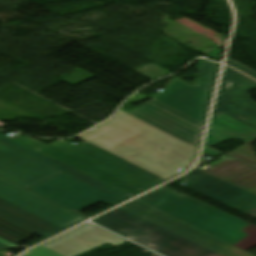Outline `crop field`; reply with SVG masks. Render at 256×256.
Wrapping results in <instances>:
<instances>
[{"label":"crop field","instance_id":"crop-field-24","mask_svg":"<svg viewBox=\"0 0 256 256\" xmlns=\"http://www.w3.org/2000/svg\"><path fill=\"white\" fill-rule=\"evenodd\" d=\"M0 242L3 243V244H5V245H7V246H9V247H18V246H16V245H14V244H12V243H10V242H8V241L2 239V238H0Z\"/></svg>","mask_w":256,"mask_h":256},{"label":"crop field","instance_id":"crop-field-10","mask_svg":"<svg viewBox=\"0 0 256 256\" xmlns=\"http://www.w3.org/2000/svg\"><path fill=\"white\" fill-rule=\"evenodd\" d=\"M61 172L0 142V176L5 179L28 188Z\"/></svg>","mask_w":256,"mask_h":256},{"label":"crop field","instance_id":"crop-field-17","mask_svg":"<svg viewBox=\"0 0 256 256\" xmlns=\"http://www.w3.org/2000/svg\"><path fill=\"white\" fill-rule=\"evenodd\" d=\"M0 141L18 149V150L36 158V159H38V160H40L44 163H47L51 166H54V167L64 171L65 173H68V174H70V175H72V176H74V177L92 185V186H95V187H97V188H99V189L117 197V198H120V199L124 200V199L130 197V196H128V195H126L122 192H119V191H117V190H115V189H113V188H111V187L93 179V178H90V177H88V176H86V175H84V174L66 166V165H63V164H61V163L43 155V154H41V153H39V152L29 148V147L17 142V141H14L13 139H11V138H9L5 135L0 134Z\"/></svg>","mask_w":256,"mask_h":256},{"label":"crop field","instance_id":"crop-field-9","mask_svg":"<svg viewBox=\"0 0 256 256\" xmlns=\"http://www.w3.org/2000/svg\"><path fill=\"white\" fill-rule=\"evenodd\" d=\"M0 198L63 228L84 219L82 216L1 177Z\"/></svg>","mask_w":256,"mask_h":256},{"label":"crop field","instance_id":"crop-field-21","mask_svg":"<svg viewBox=\"0 0 256 256\" xmlns=\"http://www.w3.org/2000/svg\"><path fill=\"white\" fill-rule=\"evenodd\" d=\"M29 252L26 256H63L41 245Z\"/></svg>","mask_w":256,"mask_h":256},{"label":"crop field","instance_id":"crop-field-6","mask_svg":"<svg viewBox=\"0 0 256 256\" xmlns=\"http://www.w3.org/2000/svg\"><path fill=\"white\" fill-rule=\"evenodd\" d=\"M28 189L76 213L98 201L111 205L121 201L65 173H61Z\"/></svg>","mask_w":256,"mask_h":256},{"label":"crop field","instance_id":"crop-field-2","mask_svg":"<svg viewBox=\"0 0 256 256\" xmlns=\"http://www.w3.org/2000/svg\"><path fill=\"white\" fill-rule=\"evenodd\" d=\"M136 201L242 250L256 244V226L166 186Z\"/></svg>","mask_w":256,"mask_h":256},{"label":"crop field","instance_id":"crop-field-20","mask_svg":"<svg viewBox=\"0 0 256 256\" xmlns=\"http://www.w3.org/2000/svg\"><path fill=\"white\" fill-rule=\"evenodd\" d=\"M122 116V114L120 112L116 113V116L114 118H112L111 120L101 124L100 126L90 130L89 132L79 136L80 138L84 139L92 134H95L103 129H109L120 117Z\"/></svg>","mask_w":256,"mask_h":256},{"label":"crop field","instance_id":"crop-field-3","mask_svg":"<svg viewBox=\"0 0 256 256\" xmlns=\"http://www.w3.org/2000/svg\"><path fill=\"white\" fill-rule=\"evenodd\" d=\"M37 151L130 196L165 180L87 142L59 140Z\"/></svg>","mask_w":256,"mask_h":256},{"label":"crop field","instance_id":"crop-field-15","mask_svg":"<svg viewBox=\"0 0 256 256\" xmlns=\"http://www.w3.org/2000/svg\"><path fill=\"white\" fill-rule=\"evenodd\" d=\"M251 135L256 137V130L220 112L210 121L205 143L213 146L231 137L246 143Z\"/></svg>","mask_w":256,"mask_h":256},{"label":"crop field","instance_id":"crop-field-8","mask_svg":"<svg viewBox=\"0 0 256 256\" xmlns=\"http://www.w3.org/2000/svg\"><path fill=\"white\" fill-rule=\"evenodd\" d=\"M185 180L183 186L256 218V195L197 168L185 176Z\"/></svg>","mask_w":256,"mask_h":256},{"label":"crop field","instance_id":"crop-field-23","mask_svg":"<svg viewBox=\"0 0 256 256\" xmlns=\"http://www.w3.org/2000/svg\"><path fill=\"white\" fill-rule=\"evenodd\" d=\"M203 151H205V152H207V153H209V154H211V155H213L215 157L223 154V153H221V152H219L217 150H214V149H212V148H210V147H208L206 145H204V150Z\"/></svg>","mask_w":256,"mask_h":256},{"label":"crop field","instance_id":"crop-field-12","mask_svg":"<svg viewBox=\"0 0 256 256\" xmlns=\"http://www.w3.org/2000/svg\"><path fill=\"white\" fill-rule=\"evenodd\" d=\"M128 114L197 147L202 125L153 100Z\"/></svg>","mask_w":256,"mask_h":256},{"label":"crop field","instance_id":"crop-field-18","mask_svg":"<svg viewBox=\"0 0 256 256\" xmlns=\"http://www.w3.org/2000/svg\"><path fill=\"white\" fill-rule=\"evenodd\" d=\"M30 235L32 233L0 218V237L15 243Z\"/></svg>","mask_w":256,"mask_h":256},{"label":"crop field","instance_id":"crop-field-19","mask_svg":"<svg viewBox=\"0 0 256 256\" xmlns=\"http://www.w3.org/2000/svg\"><path fill=\"white\" fill-rule=\"evenodd\" d=\"M254 141H256V139L228 152L227 154L256 167V153L253 152V149L250 146Z\"/></svg>","mask_w":256,"mask_h":256},{"label":"crop field","instance_id":"crop-field-4","mask_svg":"<svg viewBox=\"0 0 256 256\" xmlns=\"http://www.w3.org/2000/svg\"><path fill=\"white\" fill-rule=\"evenodd\" d=\"M94 221L165 256H221L121 208Z\"/></svg>","mask_w":256,"mask_h":256},{"label":"crop field","instance_id":"crop-field-26","mask_svg":"<svg viewBox=\"0 0 256 256\" xmlns=\"http://www.w3.org/2000/svg\"><path fill=\"white\" fill-rule=\"evenodd\" d=\"M0 256H7L4 251H0Z\"/></svg>","mask_w":256,"mask_h":256},{"label":"crop field","instance_id":"crop-field-11","mask_svg":"<svg viewBox=\"0 0 256 256\" xmlns=\"http://www.w3.org/2000/svg\"><path fill=\"white\" fill-rule=\"evenodd\" d=\"M121 208L206 246L224 256H254L136 201Z\"/></svg>","mask_w":256,"mask_h":256},{"label":"crop field","instance_id":"crop-field-5","mask_svg":"<svg viewBox=\"0 0 256 256\" xmlns=\"http://www.w3.org/2000/svg\"><path fill=\"white\" fill-rule=\"evenodd\" d=\"M217 65L204 60L196 86L188 85L176 78L161 93L151 98L203 123Z\"/></svg>","mask_w":256,"mask_h":256},{"label":"crop field","instance_id":"crop-field-7","mask_svg":"<svg viewBox=\"0 0 256 256\" xmlns=\"http://www.w3.org/2000/svg\"><path fill=\"white\" fill-rule=\"evenodd\" d=\"M228 81L231 82V88L226 90ZM251 89H256V81L225 66L212 117L221 111L256 129V103L248 95ZM238 116L248 118V121Z\"/></svg>","mask_w":256,"mask_h":256},{"label":"crop field","instance_id":"crop-field-13","mask_svg":"<svg viewBox=\"0 0 256 256\" xmlns=\"http://www.w3.org/2000/svg\"><path fill=\"white\" fill-rule=\"evenodd\" d=\"M105 242L118 246L125 240L96 226L85 224L42 245L65 256H75Z\"/></svg>","mask_w":256,"mask_h":256},{"label":"crop field","instance_id":"crop-field-22","mask_svg":"<svg viewBox=\"0 0 256 256\" xmlns=\"http://www.w3.org/2000/svg\"><path fill=\"white\" fill-rule=\"evenodd\" d=\"M227 64L236 68V69H238V70H240V71H243V72L253 76L254 78H256V72L255 71H253V70H251V69H249V68H247V67H245V66H243V65H241V64H239V63H237L233 60L228 59Z\"/></svg>","mask_w":256,"mask_h":256},{"label":"crop field","instance_id":"crop-field-1","mask_svg":"<svg viewBox=\"0 0 256 256\" xmlns=\"http://www.w3.org/2000/svg\"><path fill=\"white\" fill-rule=\"evenodd\" d=\"M120 112L123 116L109 130L84 140L165 179L190 164L196 148Z\"/></svg>","mask_w":256,"mask_h":256},{"label":"crop field","instance_id":"crop-field-16","mask_svg":"<svg viewBox=\"0 0 256 256\" xmlns=\"http://www.w3.org/2000/svg\"><path fill=\"white\" fill-rule=\"evenodd\" d=\"M0 217L44 238L62 228L0 199Z\"/></svg>","mask_w":256,"mask_h":256},{"label":"crop field","instance_id":"crop-field-14","mask_svg":"<svg viewBox=\"0 0 256 256\" xmlns=\"http://www.w3.org/2000/svg\"><path fill=\"white\" fill-rule=\"evenodd\" d=\"M229 158L231 157L226 156L218 161L215 160L216 162L213 161L214 163L200 168L207 173L256 194V169L235 159L219 164ZM225 165L228 166L224 168L223 166ZM237 165H239V167L234 169ZM240 169L242 171L236 173Z\"/></svg>","mask_w":256,"mask_h":256},{"label":"crop field","instance_id":"crop-field-27","mask_svg":"<svg viewBox=\"0 0 256 256\" xmlns=\"http://www.w3.org/2000/svg\"><path fill=\"white\" fill-rule=\"evenodd\" d=\"M27 253H29V252H27ZM27 253L23 254L22 256L26 255Z\"/></svg>","mask_w":256,"mask_h":256},{"label":"crop field","instance_id":"crop-field-25","mask_svg":"<svg viewBox=\"0 0 256 256\" xmlns=\"http://www.w3.org/2000/svg\"><path fill=\"white\" fill-rule=\"evenodd\" d=\"M6 248H9V247H7V246H5V245L0 243V249H6Z\"/></svg>","mask_w":256,"mask_h":256}]
</instances>
